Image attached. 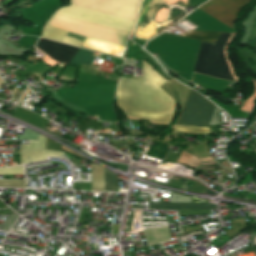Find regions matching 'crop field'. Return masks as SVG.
Segmentation results:
<instances>
[{
  "label": "crop field",
  "mask_w": 256,
  "mask_h": 256,
  "mask_svg": "<svg viewBox=\"0 0 256 256\" xmlns=\"http://www.w3.org/2000/svg\"><path fill=\"white\" fill-rule=\"evenodd\" d=\"M143 72L144 79L121 78L117 89V107L129 117L170 124L175 101L159 88L167 81L144 62Z\"/></svg>",
  "instance_id": "1"
},
{
  "label": "crop field",
  "mask_w": 256,
  "mask_h": 256,
  "mask_svg": "<svg viewBox=\"0 0 256 256\" xmlns=\"http://www.w3.org/2000/svg\"><path fill=\"white\" fill-rule=\"evenodd\" d=\"M231 35L221 33L214 45L202 42L194 71L234 81L229 66L223 57V48Z\"/></svg>",
  "instance_id": "2"
},
{
  "label": "crop field",
  "mask_w": 256,
  "mask_h": 256,
  "mask_svg": "<svg viewBox=\"0 0 256 256\" xmlns=\"http://www.w3.org/2000/svg\"><path fill=\"white\" fill-rule=\"evenodd\" d=\"M214 105L194 91H190L181 119L177 124L209 126Z\"/></svg>",
  "instance_id": "3"
},
{
  "label": "crop field",
  "mask_w": 256,
  "mask_h": 256,
  "mask_svg": "<svg viewBox=\"0 0 256 256\" xmlns=\"http://www.w3.org/2000/svg\"><path fill=\"white\" fill-rule=\"evenodd\" d=\"M56 13L64 14L74 18L82 19L85 21L92 22L94 24L112 27L115 29L123 30L126 32L131 31L135 22L101 14L88 9H84L74 5H68L60 8Z\"/></svg>",
  "instance_id": "4"
},
{
  "label": "crop field",
  "mask_w": 256,
  "mask_h": 256,
  "mask_svg": "<svg viewBox=\"0 0 256 256\" xmlns=\"http://www.w3.org/2000/svg\"><path fill=\"white\" fill-rule=\"evenodd\" d=\"M249 0H210L200 6V10L225 23L232 26V22L240 10Z\"/></svg>",
  "instance_id": "5"
},
{
  "label": "crop field",
  "mask_w": 256,
  "mask_h": 256,
  "mask_svg": "<svg viewBox=\"0 0 256 256\" xmlns=\"http://www.w3.org/2000/svg\"><path fill=\"white\" fill-rule=\"evenodd\" d=\"M45 138L40 135L38 141H29V145H21V164L46 159L45 156H61L64 154L62 151L44 150Z\"/></svg>",
  "instance_id": "6"
},
{
  "label": "crop field",
  "mask_w": 256,
  "mask_h": 256,
  "mask_svg": "<svg viewBox=\"0 0 256 256\" xmlns=\"http://www.w3.org/2000/svg\"><path fill=\"white\" fill-rule=\"evenodd\" d=\"M36 48L48 54L52 59L65 63H69L79 50V48L49 41L43 38L38 41Z\"/></svg>",
  "instance_id": "7"
},
{
  "label": "crop field",
  "mask_w": 256,
  "mask_h": 256,
  "mask_svg": "<svg viewBox=\"0 0 256 256\" xmlns=\"http://www.w3.org/2000/svg\"><path fill=\"white\" fill-rule=\"evenodd\" d=\"M200 202H206L199 199ZM148 209L155 210H185V209H217L216 205L206 203H149Z\"/></svg>",
  "instance_id": "8"
},
{
  "label": "crop field",
  "mask_w": 256,
  "mask_h": 256,
  "mask_svg": "<svg viewBox=\"0 0 256 256\" xmlns=\"http://www.w3.org/2000/svg\"><path fill=\"white\" fill-rule=\"evenodd\" d=\"M143 234L146 238L148 245H154L159 242H165L170 240L168 226L156 229H144Z\"/></svg>",
  "instance_id": "9"
},
{
  "label": "crop field",
  "mask_w": 256,
  "mask_h": 256,
  "mask_svg": "<svg viewBox=\"0 0 256 256\" xmlns=\"http://www.w3.org/2000/svg\"><path fill=\"white\" fill-rule=\"evenodd\" d=\"M92 190L104 191L103 168L91 165Z\"/></svg>",
  "instance_id": "10"
},
{
  "label": "crop field",
  "mask_w": 256,
  "mask_h": 256,
  "mask_svg": "<svg viewBox=\"0 0 256 256\" xmlns=\"http://www.w3.org/2000/svg\"><path fill=\"white\" fill-rule=\"evenodd\" d=\"M69 32L62 31L53 27L44 26L42 29V36L50 39L58 40L64 42Z\"/></svg>",
  "instance_id": "11"
},
{
  "label": "crop field",
  "mask_w": 256,
  "mask_h": 256,
  "mask_svg": "<svg viewBox=\"0 0 256 256\" xmlns=\"http://www.w3.org/2000/svg\"><path fill=\"white\" fill-rule=\"evenodd\" d=\"M219 35L220 33L193 31L186 37L214 44Z\"/></svg>",
  "instance_id": "12"
},
{
  "label": "crop field",
  "mask_w": 256,
  "mask_h": 256,
  "mask_svg": "<svg viewBox=\"0 0 256 256\" xmlns=\"http://www.w3.org/2000/svg\"><path fill=\"white\" fill-rule=\"evenodd\" d=\"M174 133L182 134H210L209 128L176 125Z\"/></svg>",
  "instance_id": "13"
},
{
  "label": "crop field",
  "mask_w": 256,
  "mask_h": 256,
  "mask_svg": "<svg viewBox=\"0 0 256 256\" xmlns=\"http://www.w3.org/2000/svg\"><path fill=\"white\" fill-rule=\"evenodd\" d=\"M104 179H105V191L117 192V188H118L117 175L104 169Z\"/></svg>",
  "instance_id": "14"
},
{
  "label": "crop field",
  "mask_w": 256,
  "mask_h": 256,
  "mask_svg": "<svg viewBox=\"0 0 256 256\" xmlns=\"http://www.w3.org/2000/svg\"><path fill=\"white\" fill-rule=\"evenodd\" d=\"M92 53L93 52L91 51L80 49V51L74 57L72 64H77V63L91 64L93 61Z\"/></svg>",
  "instance_id": "15"
},
{
  "label": "crop field",
  "mask_w": 256,
  "mask_h": 256,
  "mask_svg": "<svg viewBox=\"0 0 256 256\" xmlns=\"http://www.w3.org/2000/svg\"><path fill=\"white\" fill-rule=\"evenodd\" d=\"M0 186L25 187L24 180H0Z\"/></svg>",
  "instance_id": "16"
},
{
  "label": "crop field",
  "mask_w": 256,
  "mask_h": 256,
  "mask_svg": "<svg viewBox=\"0 0 256 256\" xmlns=\"http://www.w3.org/2000/svg\"><path fill=\"white\" fill-rule=\"evenodd\" d=\"M4 174H23V168L20 167H14V168H4L0 169V175Z\"/></svg>",
  "instance_id": "17"
},
{
  "label": "crop field",
  "mask_w": 256,
  "mask_h": 256,
  "mask_svg": "<svg viewBox=\"0 0 256 256\" xmlns=\"http://www.w3.org/2000/svg\"><path fill=\"white\" fill-rule=\"evenodd\" d=\"M2 83H3V82H2V80L0 79V87H1Z\"/></svg>",
  "instance_id": "18"
},
{
  "label": "crop field",
  "mask_w": 256,
  "mask_h": 256,
  "mask_svg": "<svg viewBox=\"0 0 256 256\" xmlns=\"http://www.w3.org/2000/svg\"><path fill=\"white\" fill-rule=\"evenodd\" d=\"M255 49H256V45H255Z\"/></svg>",
  "instance_id": "19"
}]
</instances>
